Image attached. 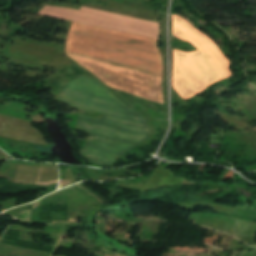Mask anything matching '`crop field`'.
<instances>
[{
	"label": "crop field",
	"mask_w": 256,
	"mask_h": 256,
	"mask_svg": "<svg viewBox=\"0 0 256 256\" xmlns=\"http://www.w3.org/2000/svg\"><path fill=\"white\" fill-rule=\"evenodd\" d=\"M158 43L159 40L148 37L72 22L65 53L98 58L161 77L163 59Z\"/></svg>",
	"instance_id": "1"
},
{
	"label": "crop field",
	"mask_w": 256,
	"mask_h": 256,
	"mask_svg": "<svg viewBox=\"0 0 256 256\" xmlns=\"http://www.w3.org/2000/svg\"><path fill=\"white\" fill-rule=\"evenodd\" d=\"M172 34L178 39L189 41L199 50L183 53L173 49L172 88L183 99L230 74L229 61L209 38L194 29L191 21L172 14Z\"/></svg>",
	"instance_id": "2"
},
{
	"label": "crop field",
	"mask_w": 256,
	"mask_h": 256,
	"mask_svg": "<svg viewBox=\"0 0 256 256\" xmlns=\"http://www.w3.org/2000/svg\"><path fill=\"white\" fill-rule=\"evenodd\" d=\"M68 56L107 86L163 104L160 77L127 67H116L102 61Z\"/></svg>",
	"instance_id": "3"
},
{
	"label": "crop field",
	"mask_w": 256,
	"mask_h": 256,
	"mask_svg": "<svg viewBox=\"0 0 256 256\" xmlns=\"http://www.w3.org/2000/svg\"><path fill=\"white\" fill-rule=\"evenodd\" d=\"M38 15L80 22L158 39L159 24L81 7L79 10L46 6Z\"/></svg>",
	"instance_id": "4"
}]
</instances>
